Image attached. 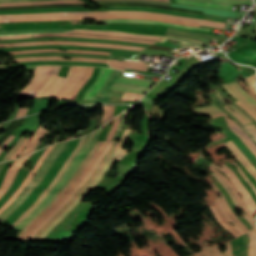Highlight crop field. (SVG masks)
I'll list each match as a JSON object with an SVG mask.
<instances>
[{
	"label": "crop field",
	"instance_id": "obj_42",
	"mask_svg": "<svg viewBox=\"0 0 256 256\" xmlns=\"http://www.w3.org/2000/svg\"><path fill=\"white\" fill-rule=\"evenodd\" d=\"M165 36H167V37H172V38H176V39H179V40H182V41H185V42H188V43L197 45V46H199V47H201V46H203V45L206 44V43H203V42L194 40V39L182 38V37L172 36V35H168V34H166Z\"/></svg>",
	"mask_w": 256,
	"mask_h": 256
},
{
	"label": "crop field",
	"instance_id": "obj_28",
	"mask_svg": "<svg viewBox=\"0 0 256 256\" xmlns=\"http://www.w3.org/2000/svg\"><path fill=\"white\" fill-rule=\"evenodd\" d=\"M176 2L177 3H183V4H191V5H198V6L220 8V9H228V10H231V7H232V5H228V4H219V3H211V2H207V4L192 2V1H183V0H176Z\"/></svg>",
	"mask_w": 256,
	"mask_h": 256
},
{
	"label": "crop field",
	"instance_id": "obj_10",
	"mask_svg": "<svg viewBox=\"0 0 256 256\" xmlns=\"http://www.w3.org/2000/svg\"><path fill=\"white\" fill-rule=\"evenodd\" d=\"M120 74H121V71L113 70L109 80L102 87V89L99 91L98 95L94 99V104H110L111 101H109V99L114 91L109 89L112 86V84L115 82V80L120 76Z\"/></svg>",
	"mask_w": 256,
	"mask_h": 256
},
{
	"label": "crop field",
	"instance_id": "obj_15",
	"mask_svg": "<svg viewBox=\"0 0 256 256\" xmlns=\"http://www.w3.org/2000/svg\"><path fill=\"white\" fill-rule=\"evenodd\" d=\"M101 23H142V24H158V25L176 26V27L186 28V29H195V30L210 31V30H208V29L187 27V26L174 25V24H168V23H161V22H155V21H151V20L113 19V20L96 21L95 24H101Z\"/></svg>",
	"mask_w": 256,
	"mask_h": 256
},
{
	"label": "crop field",
	"instance_id": "obj_51",
	"mask_svg": "<svg viewBox=\"0 0 256 256\" xmlns=\"http://www.w3.org/2000/svg\"><path fill=\"white\" fill-rule=\"evenodd\" d=\"M14 138V136L10 135L8 139L0 146V153L2 152V149L8 145V143Z\"/></svg>",
	"mask_w": 256,
	"mask_h": 256
},
{
	"label": "crop field",
	"instance_id": "obj_5",
	"mask_svg": "<svg viewBox=\"0 0 256 256\" xmlns=\"http://www.w3.org/2000/svg\"><path fill=\"white\" fill-rule=\"evenodd\" d=\"M119 119H120V115H118L116 118H114V125L112 127V129L109 131L105 142H102L101 146L98 148V150L94 153V155L92 156V158L90 159V161L88 162V164L86 165V167L84 168V170L82 171V173L79 175V177L75 180V182L65 191V193L59 198V200L52 206V208L46 213L44 214L35 224H33L29 230L24 234L23 238H27L28 235L31 233V231L41 222L43 221L57 206L58 204L68 195V193L79 183V181L82 179V177L85 175V173L88 171V169L90 168V166L93 164V162L96 160V158L98 157V155L101 153V151L105 148L108 140H112L113 135L119 125Z\"/></svg>",
	"mask_w": 256,
	"mask_h": 256
},
{
	"label": "crop field",
	"instance_id": "obj_7",
	"mask_svg": "<svg viewBox=\"0 0 256 256\" xmlns=\"http://www.w3.org/2000/svg\"><path fill=\"white\" fill-rule=\"evenodd\" d=\"M213 167L220 169L222 172L226 173V175L228 176V178L231 180V182L234 184V186L236 187V189L240 192L242 199L244 200L247 208L249 209V211L253 214V216H255L256 213V204L253 201V199L251 198L250 194L248 193V191L245 189V187L242 185V183L239 181V179L236 177V175L233 173V171L224 166L223 168H219L213 164H211Z\"/></svg>",
	"mask_w": 256,
	"mask_h": 256
},
{
	"label": "crop field",
	"instance_id": "obj_34",
	"mask_svg": "<svg viewBox=\"0 0 256 256\" xmlns=\"http://www.w3.org/2000/svg\"><path fill=\"white\" fill-rule=\"evenodd\" d=\"M111 89L120 90V91H129V92H135V93H141V94H144L145 91L147 90L146 88L123 86V85H117V84H113Z\"/></svg>",
	"mask_w": 256,
	"mask_h": 256
},
{
	"label": "crop field",
	"instance_id": "obj_11",
	"mask_svg": "<svg viewBox=\"0 0 256 256\" xmlns=\"http://www.w3.org/2000/svg\"><path fill=\"white\" fill-rule=\"evenodd\" d=\"M28 157H29V155L22 159L14 161V163L8 168L6 176L4 178V181L0 187V198L10 188L11 183H12L18 169L23 165V163L26 161V159Z\"/></svg>",
	"mask_w": 256,
	"mask_h": 256
},
{
	"label": "crop field",
	"instance_id": "obj_48",
	"mask_svg": "<svg viewBox=\"0 0 256 256\" xmlns=\"http://www.w3.org/2000/svg\"><path fill=\"white\" fill-rule=\"evenodd\" d=\"M234 164L237 166L238 171L240 172V174L243 176V178L245 179V181H247L250 186L252 187V189L254 190V192L256 193V188L255 186L249 181V179L244 175V173L241 171V169L238 167V165L234 162Z\"/></svg>",
	"mask_w": 256,
	"mask_h": 256
},
{
	"label": "crop field",
	"instance_id": "obj_2",
	"mask_svg": "<svg viewBox=\"0 0 256 256\" xmlns=\"http://www.w3.org/2000/svg\"><path fill=\"white\" fill-rule=\"evenodd\" d=\"M68 142V141H67ZM65 143H59L49 152L44 161L41 163L37 171L35 172L32 180L19 194V196L0 214V221L4 222L5 219L27 198V196L34 190V188L43 179L50 165L56 160L60 153L66 147Z\"/></svg>",
	"mask_w": 256,
	"mask_h": 256
},
{
	"label": "crop field",
	"instance_id": "obj_1",
	"mask_svg": "<svg viewBox=\"0 0 256 256\" xmlns=\"http://www.w3.org/2000/svg\"><path fill=\"white\" fill-rule=\"evenodd\" d=\"M101 128L97 132L94 140L92 133L89 135L87 141L83 145V147L80 149L77 156L74 158V160L70 163L68 169L66 170L65 174L61 178V180L55 185V187L49 192V194L40 202V204L23 220L21 221L15 229L22 231L23 228L32 221L47 205L51 203L55 195L69 182V180L72 178L80 164L82 163L83 159L85 158L86 154L92 149V147L95 145L97 137L99 135Z\"/></svg>",
	"mask_w": 256,
	"mask_h": 256
},
{
	"label": "crop field",
	"instance_id": "obj_35",
	"mask_svg": "<svg viewBox=\"0 0 256 256\" xmlns=\"http://www.w3.org/2000/svg\"><path fill=\"white\" fill-rule=\"evenodd\" d=\"M65 79V77L57 76L54 82L50 85V87L45 91L42 96H51L55 89L60 85V83Z\"/></svg>",
	"mask_w": 256,
	"mask_h": 256
},
{
	"label": "crop field",
	"instance_id": "obj_6",
	"mask_svg": "<svg viewBox=\"0 0 256 256\" xmlns=\"http://www.w3.org/2000/svg\"><path fill=\"white\" fill-rule=\"evenodd\" d=\"M113 141H109L106 148L103 150V152L99 155L95 163L92 165V167L89 169V171L86 173L84 178L81 180V182L69 193V195L60 203V205L42 222L40 223L31 233L29 238H33L34 235L38 232V230L56 213L58 212L71 198L72 196L79 190V188L84 185V183L87 181V179L90 177L96 166L99 164V162L104 158L107 151L110 149Z\"/></svg>",
	"mask_w": 256,
	"mask_h": 256
},
{
	"label": "crop field",
	"instance_id": "obj_47",
	"mask_svg": "<svg viewBox=\"0 0 256 256\" xmlns=\"http://www.w3.org/2000/svg\"><path fill=\"white\" fill-rule=\"evenodd\" d=\"M236 108H238L244 115H246L253 123H255L256 121L251 117V115L249 113H247L243 108H241L238 104H236L235 102L232 103Z\"/></svg>",
	"mask_w": 256,
	"mask_h": 256
},
{
	"label": "crop field",
	"instance_id": "obj_38",
	"mask_svg": "<svg viewBox=\"0 0 256 256\" xmlns=\"http://www.w3.org/2000/svg\"><path fill=\"white\" fill-rule=\"evenodd\" d=\"M198 2L211 1V2H221V3H231V4H250V0H192Z\"/></svg>",
	"mask_w": 256,
	"mask_h": 256
},
{
	"label": "crop field",
	"instance_id": "obj_57",
	"mask_svg": "<svg viewBox=\"0 0 256 256\" xmlns=\"http://www.w3.org/2000/svg\"><path fill=\"white\" fill-rule=\"evenodd\" d=\"M3 124H0V126H2Z\"/></svg>",
	"mask_w": 256,
	"mask_h": 256
},
{
	"label": "crop field",
	"instance_id": "obj_52",
	"mask_svg": "<svg viewBox=\"0 0 256 256\" xmlns=\"http://www.w3.org/2000/svg\"><path fill=\"white\" fill-rule=\"evenodd\" d=\"M238 82L242 85V87H243L250 95H252V96L256 99V95L253 94V93L249 90V88L243 83L242 80H240V81H238Z\"/></svg>",
	"mask_w": 256,
	"mask_h": 256
},
{
	"label": "crop field",
	"instance_id": "obj_19",
	"mask_svg": "<svg viewBox=\"0 0 256 256\" xmlns=\"http://www.w3.org/2000/svg\"><path fill=\"white\" fill-rule=\"evenodd\" d=\"M44 125L45 124H42L39 127V129L34 133L33 137L31 136L32 138L30 139V141L28 142L26 148L23 150V152L21 153L20 156H23V155L33 151L34 148L37 146L38 142L40 141V139L48 132L47 130L43 129Z\"/></svg>",
	"mask_w": 256,
	"mask_h": 256
},
{
	"label": "crop field",
	"instance_id": "obj_53",
	"mask_svg": "<svg viewBox=\"0 0 256 256\" xmlns=\"http://www.w3.org/2000/svg\"><path fill=\"white\" fill-rule=\"evenodd\" d=\"M28 109H25V108H20L18 114L16 117H20V116H24L26 114Z\"/></svg>",
	"mask_w": 256,
	"mask_h": 256
},
{
	"label": "crop field",
	"instance_id": "obj_54",
	"mask_svg": "<svg viewBox=\"0 0 256 256\" xmlns=\"http://www.w3.org/2000/svg\"><path fill=\"white\" fill-rule=\"evenodd\" d=\"M236 103H238L241 107H243L246 111H248L253 116V118L256 120V116L250 110H248L245 106H243L239 101H236Z\"/></svg>",
	"mask_w": 256,
	"mask_h": 256
},
{
	"label": "crop field",
	"instance_id": "obj_31",
	"mask_svg": "<svg viewBox=\"0 0 256 256\" xmlns=\"http://www.w3.org/2000/svg\"><path fill=\"white\" fill-rule=\"evenodd\" d=\"M194 112L197 114H200V115H204V116H212V115L220 113L222 111L219 108H217L216 106L212 105V106L204 107V108H196Z\"/></svg>",
	"mask_w": 256,
	"mask_h": 256
},
{
	"label": "crop field",
	"instance_id": "obj_36",
	"mask_svg": "<svg viewBox=\"0 0 256 256\" xmlns=\"http://www.w3.org/2000/svg\"><path fill=\"white\" fill-rule=\"evenodd\" d=\"M216 200H217L222 212L224 213L226 219L234 224V227L239 231L240 234L244 233V231L240 228V226L229 216V214L225 210V208L220 200V197L217 198Z\"/></svg>",
	"mask_w": 256,
	"mask_h": 256
},
{
	"label": "crop field",
	"instance_id": "obj_13",
	"mask_svg": "<svg viewBox=\"0 0 256 256\" xmlns=\"http://www.w3.org/2000/svg\"><path fill=\"white\" fill-rule=\"evenodd\" d=\"M112 70L102 68L97 81L89 88L83 100L93 99L104 83L108 80Z\"/></svg>",
	"mask_w": 256,
	"mask_h": 256
},
{
	"label": "crop field",
	"instance_id": "obj_50",
	"mask_svg": "<svg viewBox=\"0 0 256 256\" xmlns=\"http://www.w3.org/2000/svg\"><path fill=\"white\" fill-rule=\"evenodd\" d=\"M31 36L32 35H17V36L0 37V39L27 38Z\"/></svg>",
	"mask_w": 256,
	"mask_h": 256
},
{
	"label": "crop field",
	"instance_id": "obj_22",
	"mask_svg": "<svg viewBox=\"0 0 256 256\" xmlns=\"http://www.w3.org/2000/svg\"><path fill=\"white\" fill-rule=\"evenodd\" d=\"M59 3H84L80 0H52V1H38V2H24V3H7L0 4V7L17 6V5H33V4H59Z\"/></svg>",
	"mask_w": 256,
	"mask_h": 256
},
{
	"label": "crop field",
	"instance_id": "obj_14",
	"mask_svg": "<svg viewBox=\"0 0 256 256\" xmlns=\"http://www.w3.org/2000/svg\"><path fill=\"white\" fill-rule=\"evenodd\" d=\"M215 93L218 95V97L224 102V98L221 96V94L217 91V89L215 88ZM225 103V102H224ZM224 108H226L229 112H231L233 115H235L238 120L243 123L246 128L250 131V133L256 138V127L254 126V124L246 117L244 116L238 109H236L233 105L229 106L230 108H232L233 110H231L230 108H228L227 106H223Z\"/></svg>",
	"mask_w": 256,
	"mask_h": 256
},
{
	"label": "crop field",
	"instance_id": "obj_49",
	"mask_svg": "<svg viewBox=\"0 0 256 256\" xmlns=\"http://www.w3.org/2000/svg\"><path fill=\"white\" fill-rule=\"evenodd\" d=\"M72 68L73 67H71L70 68V71H69V73H68V75H67V78L63 81V83L56 89V91H55V93H54V95H53V97H55V95L58 93V91L62 88V86L66 83V81L68 80V78H69V76H70V73H71V71H72Z\"/></svg>",
	"mask_w": 256,
	"mask_h": 256
},
{
	"label": "crop field",
	"instance_id": "obj_21",
	"mask_svg": "<svg viewBox=\"0 0 256 256\" xmlns=\"http://www.w3.org/2000/svg\"><path fill=\"white\" fill-rule=\"evenodd\" d=\"M211 207V206H210ZM215 209L217 210V212L219 213V215L221 216V218L223 219V221L226 223V225L238 236L240 235L237 230L225 219L224 215L222 214L216 200H215ZM214 207H211L216 219L219 221V223L224 226L233 236L234 238L237 237L222 221V219L220 218V216L218 215V213L216 212V210L214 209Z\"/></svg>",
	"mask_w": 256,
	"mask_h": 256
},
{
	"label": "crop field",
	"instance_id": "obj_8",
	"mask_svg": "<svg viewBox=\"0 0 256 256\" xmlns=\"http://www.w3.org/2000/svg\"><path fill=\"white\" fill-rule=\"evenodd\" d=\"M85 140V137L81 138L78 145L76 146V148L73 150V152L71 153V155L69 156V158L67 159V161L64 163V165L61 167V169L59 170V172L57 173V175L55 176V178L53 179V181L51 182V184L49 185V187L44 190L42 192V194L39 196V198L36 200L35 204L30 207L27 211H25L19 218L18 220L12 225V227H14L15 225H17V223L19 221H21L25 216H27L31 211L32 209L44 198V196L48 193V191L52 188V186L54 184L57 183L58 179L60 178V176L62 175V173L65 171L66 167L68 166L69 162L71 161L72 157L76 154L77 150L81 147V145L83 144Z\"/></svg>",
	"mask_w": 256,
	"mask_h": 256
},
{
	"label": "crop field",
	"instance_id": "obj_56",
	"mask_svg": "<svg viewBox=\"0 0 256 256\" xmlns=\"http://www.w3.org/2000/svg\"><path fill=\"white\" fill-rule=\"evenodd\" d=\"M160 1H168L169 2V0H160Z\"/></svg>",
	"mask_w": 256,
	"mask_h": 256
},
{
	"label": "crop field",
	"instance_id": "obj_30",
	"mask_svg": "<svg viewBox=\"0 0 256 256\" xmlns=\"http://www.w3.org/2000/svg\"><path fill=\"white\" fill-rule=\"evenodd\" d=\"M249 238L248 254L249 256H256V229L247 232Z\"/></svg>",
	"mask_w": 256,
	"mask_h": 256
},
{
	"label": "crop field",
	"instance_id": "obj_44",
	"mask_svg": "<svg viewBox=\"0 0 256 256\" xmlns=\"http://www.w3.org/2000/svg\"><path fill=\"white\" fill-rule=\"evenodd\" d=\"M224 86L227 88V90L233 96H235L243 105H245L247 108H249L256 115V110L254 108H252L248 103H246L244 100H242L227 84Z\"/></svg>",
	"mask_w": 256,
	"mask_h": 256
},
{
	"label": "crop field",
	"instance_id": "obj_4",
	"mask_svg": "<svg viewBox=\"0 0 256 256\" xmlns=\"http://www.w3.org/2000/svg\"><path fill=\"white\" fill-rule=\"evenodd\" d=\"M130 132H124L122 139L115 151V153L111 156V158L108 160L104 168L101 170V172L98 174L96 179L87 187V189L43 232V234L39 238H44L65 216L66 214L72 210L75 205L85 197V195L92 189L94 188L99 181L101 180L102 176L104 173L107 171V169L110 167V165L113 163L114 160L120 161L128 152V150L121 149L125 140L129 136Z\"/></svg>",
	"mask_w": 256,
	"mask_h": 256
},
{
	"label": "crop field",
	"instance_id": "obj_3",
	"mask_svg": "<svg viewBox=\"0 0 256 256\" xmlns=\"http://www.w3.org/2000/svg\"><path fill=\"white\" fill-rule=\"evenodd\" d=\"M102 14H142V15H151V16H158L176 20H183L189 22H196L200 23V25L217 27V28H225L226 24L217 23V22H210L198 19H191V18H184V17H177V16H169V15H162V14H155V13H147V12H131V11H107V12H75V13H47V14H17V15H3L0 16V23L10 22L9 18H20V17H33V16H58V15H102Z\"/></svg>",
	"mask_w": 256,
	"mask_h": 256
},
{
	"label": "crop field",
	"instance_id": "obj_41",
	"mask_svg": "<svg viewBox=\"0 0 256 256\" xmlns=\"http://www.w3.org/2000/svg\"><path fill=\"white\" fill-rule=\"evenodd\" d=\"M233 254L243 250V241L240 236L238 239L232 241Z\"/></svg>",
	"mask_w": 256,
	"mask_h": 256
},
{
	"label": "crop field",
	"instance_id": "obj_23",
	"mask_svg": "<svg viewBox=\"0 0 256 256\" xmlns=\"http://www.w3.org/2000/svg\"><path fill=\"white\" fill-rule=\"evenodd\" d=\"M230 87L243 98L245 101H247L252 107L256 109V100L250 96L246 91H244L240 84L237 82L229 84Z\"/></svg>",
	"mask_w": 256,
	"mask_h": 256
},
{
	"label": "crop field",
	"instance_id": "obj_46",
	"mask_svg": "<svg viewBox=\"0 0 256 256\" xmlns=\"http://www.w3.org/2000/svg\"><path fill=\"white\" fill-rule=\"evenodd\" d=\"M29 137L25 139V141L22 143V145L15 151V153L11 156V159H15L23 150V148L25 147L27 141H28Z\"/></svg>",
	"mask_w": 256,
	"mask_h": 256
},
{
	"label": "crop field",
	"instance_id": "obj_39",
	"mask_svg": "<svg viewBox=\"0 0 256 256\" xmlns=\"http://www.w3.org/2000/svg\"><path fill=\"white\" fill-rule=\"evenodd\" d=\"M231 146L236 150V152L241 156V158L246 162V164L251 168V170L256 174V169L252 166V164L247 160V158L242 154V152L238 149V147L233 143L232 140L228 141Z\"/></svg>",
	"mask_w": 256,
	"mask_h": 256
},
{
	"label": "crop field",
	"instance_id": "obj_25",
	"mask_svg": "<svg viewBox=\"0 0 256 256\" xmlns=\"http://www.w3.org/2000/svg\"><path fill=\"white\" fill-rule=\"evenodd\" d=\"M226 245H227L228 249L223 254H221L218 247H215V248L205 249L195 256H232V249H231L230 242L227 243Z\"/></svg>",
	"mask_w": 256,
	"mask_h": 256
},
{
	"label": "crop field",
	"instance_id": "obj_27",
	"mask_svg": "<svg viewBox=\"0 0 256 256\" xmlns=\"http://www.w3.org/2000/svg\"><path fill=\"white\" fill-rule=\"evenodd\" d=\"M209 169L213 170L214 172H216L217 174H219L226 183H228L231 187V189L233 190L237 200L239 201V203L241 204L242 208L246 211V213L248 214V216L254 221V217L252 216V214L247 210V208L245 207L241 197L239 196L237 190L235 189V187L232 185V183L229 181L228 178H226L225 176H223L218 170L214 169L212 166H208Z\"/></svg>",
	"mask_w": 256,
	"mask_h": 256
},
{
	"label": "crop field",
	"instance_id": "obj_20",
	"mask_svg": "<svg viewBox=\"0 0 256 256\" xmlns=\"http://www.w3.org/2000/svg\"><path fill=\"white\" fill-rule=\"evenodd\" d=\"M209 98L213 101L214 105L219 107L224 113H226L228 116H230L247 134L248 136L256 143L255 138L249 133V131L234 117L232 114H230L227 110H225L222 106L224 105L223 102L215 95V93H211L208 95ZM220 103L221 106L218 104Z\"/></svg>",
	"mask_w": 256,
	"mask_h": 256
},
{
	"label": "crop field",
	"instance_id": "obj_32",
	"mask_svg": "<svg viewBox=\"0 0 256 256\" xmlns=\"http://www.w3.org/2000/svg\"><path fill=\"white\" fill-rule=\"evenodd\" d=\"M60 67L61 66H55L54 67L51 76L46 81V83L42 86V88L38 91V93L36 94L35 98H39L44 93V91L49 87V85L53 82L54 78L57 76Z\"/></svg>",
	"mask_w": 256,
	"mask_h": 256
},
{
	"label": "crop field",
	"instance_id": "obj_26",
	"mask_svg": "<svg viewBox=\"0 0 256 256\" xmlns=\"http://www.w3.org/2000/svg\"><path fill=\"white\" fill-rule=\"evenodd\" d=\"M212 175L220 182V184L225 188V190H226V191L228 192V194L231 196V198H232V200H233L235 206L237 207V209L242 210V208H241L240 205L238 204V202H237V200H236L234 194L232 193L231 189L229 188V186H228V185L223 181V179H222L220 176H218L217 174L213 173ZM242 211H243V210H242ZM244 214H245L244 218L247 219V220L250 222V224L252 225L253 229L256 228V226H255V224L253 223V221L246 215V213H244Z\"/></svg>",
	"mask_w": 256,
	"mask_h": 256
},
{
	"label": "crop field",
	"instance_id": "obj_33",
	"mask_svg": "<svg viewBox=\"0 0 256 256\" xmlns=\"http://www.w3.org/2000/svg\"><path fill=\"white\" fill-rule=\"evenodd\" d=\"M211 186L213 187V189H214L215 191H217V192L220 194L221 199H222V201H223V203H224V205H225V207H226L228 213L230 214V216L244 229L245 232L249 231V230L239 221V219L233 214V212H232L230 206L228 205V203L226 202L224 196L222 195V193H220L221 191L219 192V190L217 189V187L215 186V184H211Z\"/></svg>",
	"mask_w": 256,
	"mask_h": 256
},
{
	"label": "crop field",
	"instance_id": "obj_16",
	"mask_svg": "<svg viewBox=\"0 0 256 256\" xmlns=\"http://www.w3.org/2000/svg\"><path fill=\"white\" fill-rule=\"evenodd\" d=\"M53 146H50L47 148V150L43 153V155L40 157V159L38 160L36 166L32 169V171L28 174V176L26 177L25 181L23 182V184L18 188L17 192L15 194H13L9 200L0 208V213L16 198V196L19 194L20 191L23 190V188L27 185V183L30 181L31 176L33 175V173L35 172V170L38 168V166L40 165V163L42 162V160L45 158V156L47 155V153L49 152V150L52 148Z\"/></svg>",
	"mask_w": 256,
	"mask_h": 256
},
{
	"label": "crop field",
	"instance_id": "obj_29",
	"mask_svg": "<svg viewBox=\"0 0 256 256\" xmlns=\"http://www.w3.org/2000/svg\"><path fill=\"white\" fill-rule=\"evenodd\" d=\"M95 3H111V2H132V3H152L158 5L170 6L171 3L159 2V1H149V0H94Z\"/></svg>",
	"mask_w": 256,
	"mask_h": 256
},
{
	"label": "crop field",
	"instance_id": "obj_45",
	"mask_svg": "<svg viewBox=\"0 0 256 256\" xmlns=\"http://www.w3.org/2000/svg\"><path fill=\"white\" fill-rule=\"evenodd\" d=\"M25 137H21V139L18 141V143L14 146V147H12L7 153H6V155H5V157H4V159H3V161H6V160H8L9 159V157L14 153V151L20 146V144L22 143V141H23V139H24Z\"/></svg>",
	"mask_w": 256,
	"mask_h": 256
},
{
	"label": "crop field",
	"instance_id": "obj_17",
	"mask_svg": "<svg viewBox=\"0 0 256 256\" xmlns=\"http://www.w3.org/2000/svg\"><path fill=\"white\" fill-rule=\"evenodd\" d=\"M38 52H62L57 49H37V50H26V51H9L7 54H22V53H38ZM69 53H90V54H102L109 55L110 52L104 51H91V50H67Z\"/></svg>",
	"mask_w": 256,
	"mask_h": 256
},
{
	"label": "crop field",
	"instance_id": "obj_43",
	"mask_svg": "<svg viewBox=\"0 0 256 256\" xmlns=\"http://www.w3.org/2000/svg\"><path fill=\"white\" fill-rule=\"evenodd\" d=\"M228 147V149L235 155V157L242 163V165L247 169V171L256 179V176L253 174V172L249 169V167L244 163V161L239 157V155L234 151V149L229 145V143H225Z\"/></svg>",
	"mask_w": 256,
	"mask_h": 256
},
{
	"label": "crop field",
	"instance_id": "obj_55",
	"mask_svg": "<svg viewBox=\"0 0 256 256\" xmlns=\"http://www.w3.org/2000/svg\"><path fill=\"white\" fill-rule=\"evenodd\" d=\"M17 1H35V0H0V3H2V2H17Z\"/></svg>",
	"mask_w": 256,
	"mask_h": 256
},
{
	"label": "crop field",
	"instance_id": "obj_24",
	"mask_svg": "<svg viewBox=\"0 0 256 256\" xmlns=\"http://www.w3.org/2000/svg\"><path fill=\"white\" fill-rule=\"evenodd\" d=\"M71 32L119 35V36L133 37V38L151 39V40H159L160 39V37H155V36L134 35V34H126V33H120V32H91V31H83V30H75V31H71Z\"/></svg>",
	"mask_w": 256,
	"mask_h": 256
},
{
	"label": "crop field",
	"instance_id": "obj_12",
	"mask_svg": "<svg viewBox=\"0 0 256 256\" xmlns=\"http://www.w3.org/2000/svg\"><path fill=\"white\" fill-rule=\"evenodd\" d=\"M222 115L225 116L230 129L240 137V139L247 146V148L256 156V144L243 132V130L234 121L228 119L227 115H225L224 113L213 116L212 118L214 119Z\"/></svg>",
	"mask_w": 256,
	"mask_h": 256
},
{
	"label": "crop field",
	"instance_id": "obj_9",
	"mask_svg": "<svg viewBox=\"0 0 256 256\" xmlns=\"http://www.w3.org/2000/svg\"><path fill=\"white\" fill-rule=\"evenodd\" d=\"M44 36H63V37H85V38H98V39H109V40H119L128 42H138L152 44L155 41L132 39L118 36H107V35H94V34H81V33H63V34H35L34 37H44Z\"/></svg>",
	"mask_w": 256,
	"mask_h": 256
},
{
	"label": "crop field",
	"instance_id": "obj_37",
	"mask_svg": "<svg viewBox=\"0 0 256 256\" xmlns=\"http://www.w3.org/2000/svg\"><path fill=\"white\" fill-rule=\"evenodd\" d=\"M114 108L115 106H104L102 124L113 118Z\"/></svg>",
	"mask_w": 256,
	"mask_h": 256
},
{
	"label": "crop field",
	"instance_id": "obj_40",
	"mask_svg": "<svg viewBox=\"0 0 256 256\" xmlns=\"http://www.w3.org/2000/svg\"><path fill=\"white\" fill-rule=\"evenodd\" d=\"M144 95L141 94H133L125 92L122 98V101L130 100V101H139Z\"/></svg>",
	"mask_w": 256,
	"mask_h": 256
},
{
	"label": "crop field",
	"instance_id": "obj_18",
	"mask_svg": "<svg viewBox=\"0 0 256 256\" xmlns=\"http://www.w3.org/2000/svg\"><path fill=\"white\" fill-rule=\"evenodd\" d=\"M115 83L123 84V85L142 86V87L149 88L153 83H155V81L140 79V78L120 76Z\"/></svg>",
	"mask_w": 256,
	"mask_h": 256
}]
</instances>
